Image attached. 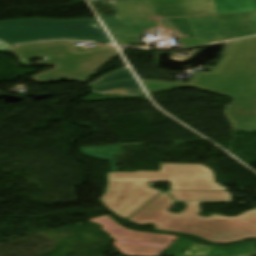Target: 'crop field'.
I'll return each instance as SVG.
<instances>
[{
    "label": "crop field",
    "instance_id": "crop-field-4",
    "mask_svg": "<svg viewBox=\"0 0 256 256\" xmlns=\"http://www.w3.org/2000/svg\"><path fill=\"white\" fill-rule=\"evenodd\" d=\"M148 93L203 87L231 97L256 95V37L231 42L213 72L196 73L189 84L141 80Z\"/></svg>",
    "mask_w": 256,
    "mask_h": 256
},
{
    "label": "crop field",
    "instance_id": "crop-field-3",
    "mask_svg": "<svg viewBox=\"0 0 256 256\" xmlns=\"http://www.w3.org/2000/svg\"><path fill=\"white\" fill-rule=\"evenodd\" d=\"M179 214L170 213L174 207L170 195L162 192L128 221L137 225H154V230L176 232L212 243H233L256 238V210L247 211L237 217L213 214L199 216L202 211L197 203H185Z\"/></svg>",
    "mask_w": 256,
    "mask_h": 256
},
{
    "label": "crop field",
    "instance_id": "crop-field-8",
    "mask_svg": "<svg viewBox=\"0 0 256 256\" xmlns=\"http://www.w3.org/2000/svg\"><path fill=\"white\" fill-rule=\"evenodd\" d=\"M228 114L235 125L256 120V96L252 98H234Z\"/></svg>",
    "mask_w": 256,
    "mask_h": 256
},
{
    "label": "crop field",
    "instance_id": "crop-field-1",
    "mask_svg": "<svg viewBox=\"0 0 256 256\" xmlns=\"http://www.w3.org/2000/svg\"><path fill=\"white\" fill-rule=\"evenodd\" d=\"M122 27L116 43L133 44L152 27L177 36L183 48L256 34V0H134L116 2Z\"/></svg>",
    "mask_w": 256,
    "mask_h": 256
},
{
    "label": "crop field",
    "instance_id": "crop-field-2",
    "mask_svg": "<svg viewBox=\"0 0 256 256\" xmlns=\"http://www.w3.org/2000/svg\"><path fill=\"white\" fill-rule=\"evenodd\" d=\"M84 155L108 160L112 173L100 198L103 205L122 218H129L161 191L147 182H171V190L227 191L216 184L214 172L202 164H162L160 172L134 171L118 173L115 156L120 146L81 148Z\"/></svg>",
    "mask_w": 256,
    "mask_h": 256
},
{
    "label": "crop field",
    "instance_id": "crop-field-7",
    "mask_svg": "<svg viewBox=\"0 0 256 256\" xmlns=\"http://www.w3.org/2000/svg\"><path fill=\"white\" fill-rule=\"evenodd\" d=\"M128 79L129 81L97 87L96 85ZM94 93L137 96L144 94L129 69L117 71L93 84Z\"/></svg>",
    "mask_w": 256,
    "mask_h": 256
},
{
    "label": "crop field",
    "instance_id": "crop-field-11",
    "mask_svg": "<svg viewBox=\"0 0 256 256\" xmlns=\"http://www.w3.org/2000/svg\"><path fill=\"white\" fill-rule=\"evenodd\" d=\"M95 1H121V0H90V2H95Z\"/></svg>",
    "mask_w": 256,
    "mask_h": 256
},
{
    "label": "crop field",
    "instance_id": "crop-field-6",
    "mask_svg": "<svg viewBox=\"0 0 256 256\" xmlns=\"http://www.w3.org/2000/svg\"><path fill=\"white\" fill-rule=\"evenodd\" d=\"M52 39L111 43L95 19L74 21L29 19L0 22V40L10 45Z\"/></svg>",
    "mask_w": 256,
    "mask_h": 256
},
{
    "label": "crop field",
    "instance_id": "crop-field-5",
    "mask_svg": "<svg viewBox=\"0 0 256 256\" xmlns=\"http://www.w3.org/2000/svg\"><path fill=\"white\" fill-rule=\"evenodd\" d=\"M99 46L101 48L76 52L70 41H53L21 45L12 52L24 60L47 57V63L56 65L55 69L34 77L35 80L86 81L94 72L119 54L115 46Z\"/></svg>",
    "mask_w": 256,
    "mask_h": 256
},
{
    "label": "crop field",
    "instance_id": "crop-field-9",
    "mask_svg": "<svg viewBox=\"0 0 256 256\" xmlns=\"http://www.w3.org/2000/svg\"><path fill=\"white\" fill-rule=\"evenodd\" d=\"M175 201L232 202L231 192L167 191Z\"/></svg>",
    "mask_w": 256,
    "mask_h": 256
},
{
    "label": "crop field",
    "instance_id": "crop-field-10",
    "mask_svg": "<svg viewBox=\"0 0 256 256\" xmlns=\"http://www.w3.org/2000/svg\"><path fill=\"white\" fill-rule=\"evenodd\" d=\"M236 127L240 129L248 130V131L256 130V121L237 125Z\"/></svg>",
    "mask_w": 256,
    "mask_h": 256
}]
</instances>
